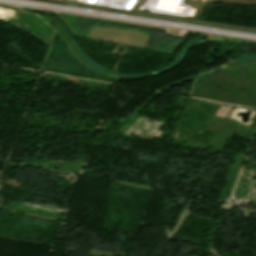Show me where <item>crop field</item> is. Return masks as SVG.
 <instances>
[{
    "label": "crop field",
    "mask_w": 256,
    "mask_h": 256,
    "mask_svg": "<svg viewBox=\"0 0 256 256\" xmlns=\"http://www.w3.org/2000/svg\"><path fill=\"white\" fill-rule=\"evenodd\" d=\"M223 1H233V2H256V0H223Z\"/></svg>",
    "instance_id": "obj_1"
}]
</instances>
